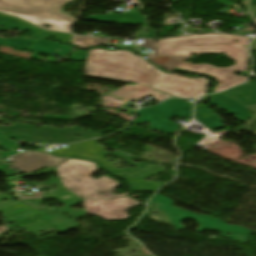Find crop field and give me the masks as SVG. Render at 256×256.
<instances>
[{"mask_svg":"<svg viewBox=\"0 0 256 256\" xmlns=\"http://www.w3.org/2000/svg\"><path fill=\"white\" fill-rule=\"evenodd\" d=\"M91 77L152 86L164 73L128 51L92 49L85 66Z\"/></svg>","mask_w":256,"mask_h":256,"instance_id":"8a807250","label":"crop field"},{"mask_svg":"<svg viewBox=\"0 0 256 256\" xmlns=\"http://www.w3.org/2000/svg\"><path fill=\"white\" fill-rule=\"evenodd\" d=\"M105 148L98 145L94 140L71 144L68 148H61L56 151L49 152L58 157H79L91 161H96L111 175L125 180L132 190H152L157 191L164 184L160 182L143 181L142 179L156 175L163 171L162 168L149 165L145 162L139 164L134 163L130 156L124 155L118 151L109 153L103 151ZM107 154H114L116 157L124 159L127 163L138 167L137 169L120 170L108 162L105 157Z\"/></svg>","mask_w":256,"mask_h":256,"instance_id":"ac0d7876","label":"crop field"},{"mask_svg":"<svg viewBox=\"0 0 256 256\" xmlns=\"http://www.w3.org/2000/svg\"><path fill=\"white\" fill-rule=\"evenodd\" d=\"M186 40L187 42H182ZM235 41H241L240 44ZM248 38L218 34L183 36L175 39L158 41L160 56H189L204 53H223L236 62L240 71L247 69Z\"/></svg>","mask_w":256,"mask_h":256,"instance_id":"34b2d1b8","label":"crop field"},{"mask_svg":"<svg viewBox=\"0 0 256 256\" xmlns=\"http://www.w3.org/2000/svg\"><path fill=\"white\" fill-rule=\"evenodd\" d=\"M99 170L95 163L79 159H70L56 168L64 188L73 194L76 192L75 195L82 199H111L129 195L111 194L121 185L107 176L94 180L91 176ZM101 192L104 194L101 195Z\"/></svg>","mask_w":256,"mask_h":256,"instance_id":"412701ff","label":"crop field"},{"mask_svg":"<svg viewBox=\"0 0 256 256\" xmlns=\"http://www.w3.org/2000/svg\"><path fill=\"white\" fill-rule=\"evenodd\" d=\"M152 203L158 204V209H162L170 222L173 224L176 230L185 229L180 223L188 218L194 219L199 223V227L195 230L198 233H201L203 230H215L222 232L220 236L234 240L239 243L247 242L249 236V230L239 227V226H230L226 225L225 222L214 219L206 215H197L191 212H187L176 207L170 206L172 201L171 199L157 194L152 200ZM227 233L232 234L228 236Z\"/></svg>","mask_w":256,"mask_h":256,"instance_id":"f4fd0767","label":"crop field"},{"mask_svg":"<svg viewBox=\"0 0 256 256\" xmlns=\"http://www.w3.org/2000/svg\"><path fill=\"white\" fill-rule=\"evenodd\" d=\"M17 124V126H14ZM4 136L14 139L35 143L39 140H43L50 143H69L74 141H80L79 138L73 137L75 134L83 135V139H89L100 136L99 134L88 130L85 131L77 126L71 128H64L58 130L56 128L43 127L40 130H35L32 125H23L19 122L13 123V127L5 128L1 127Z\"/></svg>","mask_w":256,"mask_h":256,"instance_id":"dd49c442","label":"crop field"},{"mask_svg":"<svg viewBox=\"0 0 256 256\" xmlns=\"http://www.w3.org/2000/svg\"><path fill=\"white\" fill-rule=\"evenodd\" d=\"M192 104L182 100L170 99L157 107L142 109L137 114L141 117L136 119L133 124L151 122L149 129L158 130L163 133H172L178 129V125L168 121V118L177 116L191 118Z\"/></svg>","mask_w":256,"mask_h":256,"instance_id":"e52e79f7","label":"crop field"},{"mask_svg":"<svg viewBox=\"0 0 256 256\" xmlns=\"http://www.w3.org/2000/svg\"><path fill=\"white\" fill-rule=\"evenodd\" d=\"M70 0H0V11L75 22L62 6Z\"/></svg>","mask_w":256,"mask_h":256,"instance_id":"d8731c3e","label":"crop field"},{"mask_svg":"<svg viewBox=\"0 0 256 256\" xmlns=\"http://www.w3.org/2000/svg\"><path fill=\"white\" fill-rule=\"evenodd\" d=\"M210 81L189 79L178 75L167 74L152 87L180 98H196L205 95Z\"/></svg>","mask_w":256,"mask_h":256,"instance_id":"5a996713","label":"crop field"},{"mask_svg":"<svg viewBox=\"0 0 256 256\" xmlns=\"http://www.w3.org/2000/svg\"><path fill=\"white\" fill-rule=\"evenodd\" d=\"M84 202L88 214L95 215L106 221L127 219L126 212L128 209L140 205L127 197L114 200H84ZM113 216L116 217L113 218Z\"/></svg>","mask_w":256,"mask_h":256,"instance_id":"3316defc","label":"crop field"},{"mask_svg":"<svg viewBox=\"0 0 256 256\" xmlns=\"http://www.w3.org/2000/svg\"><path fill=\"white\" fill-rule=\"evenodd\" d=\"M148 96L154 97L159 102L170 97L158 91H154L151 87L142 85H136L132 87L127 85L109 94L108 96L105 95L104 107L120 108L124 103L130 101L133 98L140 100L145 99Z\"/></svg>","mask_w":256,"mask_h":256,"instance_id":"28ad6ade","label":"crop field"},{"mask_svg":"<svg viewBox=\"0 0 256 256\" xmlns=\"http://www.w3.org/2000/svg\"><path fill=\"white\" fill-rule=\"evenodd\" d=\"M178 68L187 70L193 74L204 73L218 80L219 84L214 92L225 90L245 81L246 77L235 76L234 71H239L235 66L229 68H214L206 64L195 66L189 62H184Z\"/></svg>","mask_w":256,"mask_h":256,"instance_id":"d1516ede","label":"crop field"},{"mask_svg":"<svg viewBox=\"0 0 256 256\" xmlns=\"http://www.w3.org/2000/svg\"><path fill=\"white\" fill-rule=\"evenodd\" d=\"M12 159L14 160L12 167L25 173L43 166L56 167L58 164L68 160L64 158H55L47 153H37L35 151L13 156Z\"/></svg>","mask_w":256,"mask_h":256,"instance_id":"22f410ed","label":"crop field"},{"mask_svg":"<svg viewBox=\"0 0 256 256\" xmlns=\"http://www.w3.org/2000/svg\"><path fill=\"white\" fill-rule=\"evenodd\" d=\"M55 182L57 183V187H58L59 191L51 193V194H45V196L54 197L58 202L66 205L63 208H59L61 213L67 212L68 213L67 215H73L75 217H78V216L86 213V211H77V210L68 208L69 206L81 201V199L79 197L69 193V192L66 194L67 191L62 187L58 178H56V179H54V180H52L48 183H40V184H36V185L50 188ZM61 196H71V197L65 200V199L61 198ZM64 201H66V203H64Z\"/></svg>","mask_w":256,"mask_h":256,"instance_id":"cbeb9de0","label":"crop field"},{"mask_svg":"<svg viewBox=\"0 0 256 256\" xmlns=\"http://www.w3.org/2000/svg\"><path fill=\"white\" fill-rule=\"evenodd\" d=\"M251 85H241L238 87H235L233 89L227 90L225 92H222L221 94L238 101L242 105L249 107L251 105L256 104V81L250 82ZM247 99H250L247 101Z\"/></svg>","mask_w":256,"mask_h":256,"instance_id":"5142ce71","label":"crop field"},{"mask_svg":"<svg viewBox=\"0 0 256 256\" xmlns=\"http://www.w3.org/2000/svg\"><path fill=\"white\" fill-rule=\"evenodd\" d=\"M211 103L219 106L221 109L228 110L231 114L235 115L240 121L250 117L248 109L241 104L230 100L220 94L210 96Z\"/></svg>","mask_w":256,"mask_h":256,"instance_id":"d9b57169","label":"crop field"},{"mask_svg":"<svg viewBox=\"0 0 256 256\" xmlns=\"http://www.w3.org/2000/svg\"><path fill=\"white\" fill-rule=\"evenodd\" d=\"M145 41L140 47H150L154 50V53L147 55L150 61L173 70L182 64L189 57H159L157 44L154 40H143Z\"/></svg>","mask_w":256,"mask_h":256,"instance_id":"733c2abd","label":"crop field"},{"mask_svg":"<svg viewBox=\"0 0 256 256\" xmlns=\"http://www.w3.org/2000/svg\"><path fill=\"white\" fill-rule=\"evenodd\" d=\"M57 49H60L62 51L57 53V52H55ZM27 51L34 52L31 59L47 61V60L38 58V55L40 53H42V54L48 56L49 54L53 53V54H59L61 56H66L72 50H70L64 46H60L54 42H50V41H46V40H36L34 46L30 47Z\"/></svg>","mask_w":256,"mask_h":256,"instance_id":"4a817a6b","label":"crop field"},{"mask_svg":"<svg viewBox=\"0 0 256 256\" xmlns=\"http://www.w3.org/2000/svg\"><path fill=\"white\" fill-rule=\"evenodd\" d=\"M2 13H5V12H2ZM6 14L20 17V18H22L36 26L42 27V28H44L45 25H48L50 27L45 28L47 30H56V31L71 33L70 28L73 25V23L65 22V21L51 20V19L25 16V15H19V14H12V13H6Z\"/></svg>","mask_w":256,"mask_h":256,"instance_id":"bc2a9ffb","label":"crop field"},{"mask_svg":"<svg viewBox=\"0 0 256 256\" xmlns=\"http://www.w3.org/2000/svg\"><path fill=\"white\" fill-rule=\"evenodd\" d=\"M195 119L205 124L211 130L224 128V126L220 124L221 119L210 110L206 109L205 105L196 106Z\"/></svg>","mask_w":256,"mask_h":256,"instance_id":"214f88e0","label":"crop field"},{"mask_svg":"<svg viewBox=\"0 0 256 256\" xmlns=\"http://www.w3.org/2000/svg\"><path fill=\"white\" fill-rule=\"evenodd\" d=\"M36 208L43 213L42 217L47 219L57 229L74 222L63 216L57 208H46L42 206Z\"/></svg>","mask_w":256,"mask_h":256,"instance_id":"92a150f3","label":"crop field"},{"mask_svg":"<svg viewBox=\"0 0 256 256\" xmlns=\"http://www.w3.org/2000/svg\"><path fill=\"white\" fill-rule=\"evenodd\" d=\"M0 26L12 29H39L20 19L13 18L0 13Z\"/></svg>","mask_w":256,"mask_h":256,"instance_id":"dafd665d","label":"crop field"},{"mask_svg":"<svg viewBox=\"0 0 256 256\" xmlns=\"http://www.w3.org/2000/svg\"><path fill=\"white\" fill-rule=\"evenodd\" d=\"M110 39H98L74 36L73 45L80 46V49H88L89 46L97 47L101 44H109Z\"/></svg>","mask_w":256,"mask_h":256,"instance_id":"00972430","label":"crop field"},{"mask_svg":"<svg viewBox=\"0 0 256 256\" xmlns=\"http://www.w3.org/2000/svg\"><path fill=\"white\" fill-rule=\"evenodd\" d=\"M29 31H33L30 37H38V38L57 37L58 39H54V40H59L67 43H70L72 38V35H69V34L54 33V32L45 31V30H29Z\"/></svg>","mask_w":256,"mask_h":256,"instance_id":"a9b5d70f","label":"crop field"},{"mask_svg":"<svg viewBox=\"0 0 256 256\" xmlns=\"http://www.w3.org/2000/svg\"><path fill=\"white\" fill-rule=\"evenodd\" d=\"M43 194L42 192L33 193V194H27V193H16V198L18 200H22L23 202H26L34 207L41 204L43 200Z\"/></svg>","mask_w":256,"mask_h":256,"instance_id":"4177f3b9","label":"crop field"},{"mask_svg":"<svg viewBox=\"0 0 256 256\" xmlns=\"http://www.w3.org/2000/svg\"><path fill=\"white\" fill-rule=\"evenodd\" d=\"M31 42L32 41L30 40L13 38L7 39L2 46L15 48L19 51H25L30 47L29 45L31 44Z\"/></svg>","mask_w":256,"mask_h":256,"instance_id":"730fd06b","label":"crop field"},{"mask_svg":"<svg viewBox=\"0 0 256 256\" xmlns=\"http://www.w3.org/2000/svg\"><path fill=\"white\" fill-rule=\"evenodd\" d=\"M0 146L6 148L9 150V152L2 154L0 157L7 158L13 154H16L18 152H15V149L20 147L17 143L14 141L7 139L5 137H2L0 134Z\"/></svg>","mask_w":256,"mask_h":256,"instance_id":"eef30255","label":"crop field"},{"mask_svg":"<svg viewBox=\"0 0 256 256\" xmlns=\"http://www.w3.org/2000/svg\"><path fill=\"white\" fill-rule=\"evenodd\" d=\"M86 53L87 51H78V52H75L73 53L69 59H72L74 61H82V60H85V57H86Z\"/></svg>","mask_w":256,"mask_h":256,"instance_id":"ae1a2a85","label":"crop field"},{"mask_svg":"<svg viewBox=\"0 0 256 256\" xmlns=\"http://www.w3.org/2000/svg\"><path fill=\"white\" fill-rule=\"evenodd\" d=\"M51 171H55V168L44 167V168L38 169L34 172H31V173H28L26 175L19 176V177H26V176H31V175H36V174H41V173L51 172Z\"/></svg>","mask_w":256,"mask_h":256,"instance_id":"d3111659","label":"crop field"},{"mask_svg":"<svg viewBox=\"0 0 256 256\" xmlns=\"http://www.w3.org/2000/svg\"><path fill=\"white\" fill-rule=\"evenodd\" d=\"M78 225H79V223L74 222V223H72V224H70V225H68L66 227H63V228L59 229V231L64 233V232H66V231H68V230H70V229H72V228H74V227H76Z\"/></svg>","mask_w":256,"mask_h":256,"instance_id":"750c4746","label":"crop field"},{"mask_svg":"<svg viewBox=\"0 0 256 256\" xmlns=\"http://www.w3.org/2000/svg\"><path fill=\"white\" fill-rule=\"evenodd\" d=\"M216 1L222 3V4L226 5V6L234 5L233 3H230V2L225 1V0H216Z\"/></svg>","mask_w":256,"mask_h":256,"instance_id":"bd1437ed","label":"crop field"},{"mask_svg":"<svg viewBox=\"0 0 256 256\" xmlns=\"http://www.w3.org/2000/svg\"><path fill=\"white\" fill-rule=\"evenodd\" d=\"M0 31H7V32H10L11 30H7V29H2V28H0ZM5 40H6V39H4V38H0V46L4 43Z\"/></svg>","mask_w":256,"mask_h":256,"instance_id":"1d83c4d3","label":"crop field"},{"mask_svg":"<svg viewBox=\"0 0 256 256\" xmlns=\"http://www.w3.org/2000/svg\"><path fill=\"white\" fill-rule=\"evenodd\" d=\"M9 228L7 226H0V234L4 231L8 230Z\"/></svg>","mask_w":256,"mask_h":256,"instance_id":"120bbe31","label":"crop field"},{"mask_svg":"<svg viewBox=\"0 0 256 256\" xmlns=\"http://www.w3.org/2000/svg\"><path fill=\"white\" fill-rule=\"evenodd\" d=\"M7 167H8V165L0 167V171L3 172V173H6L5 171H3V169L7 168Z\"/></svg>","mask_w":256,"mask_h":256,"instance_id":"d32e631a","label":"crop field"},{"mask_svg":"<svg viewBox=\"0 0 256 256\" xmlns=\"http://www.w3.org/2000/svg\"><path fill=\"white\" fill-rule=\"evenodd\" d=\"M251 4H256V0H251Z\"/></svg>","mask_w":256,"mask_h":256,"instance_id":"5866460e","label":"crop field"}]
</instances>
